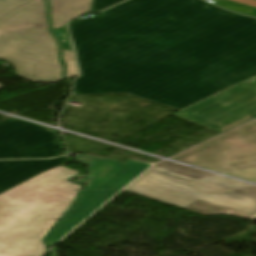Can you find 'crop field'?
Wrapping results in <instances>:
<instances>
[{
    "instance_id": "8a807250",
    "label": "crop field",
    "mask_w": 256,
    "mask_h": 256,
    "mask_svg": "<svg viewBox=\"0 0 256 256\" xmlns=\"http://www.w3.org/2000/svg\"><path fill=\"white\" fill-rule=\"evenodd\" d=\"M68 24L82 73L73 95L182 110L256 75V18L202 0H129Z\"/></svg>"
},
{
    "instance_id": "ac0d7876",
    "label": "crop field",
    "mask_w": 256,
    "mask_h": 256,
    "mask_svg": "<svg viewBox=\"0 0 256 256\" xmlns=\"http://www.w3.org/2000/svg\"><path fill=\"white\" fill-rule=\"evenodd\" d=\"M73 171L58 166L0 194V256L46 251L42 238L81 188L68 182Z\"/></svg>"
},
{
    "instance_id": "34b2d1b8",
    "label": "crop field",
    "mask_w": 256,
    "mask_h": 256,
    "mask_svg": "<svg viewBox=\"0 0 256 256\" xmlns=\"http://www.w3.org/2000/svg\"><path fill=\"white\" fill-rule=\"evenodd\" d=\"M43 0L22 5L0 20V58L34 82L63 80L57 61L58 46L47 31Z\"/></svg>"
},
{
    "instance_id": "412701ff",
    "label": "crop field",
    "mask_w": 256,
    "mask_h": 256,
    "mask_svg": "<svg viewBox=\"0 0 256 256\" xmlns=\"http://www.w3.org/2000/svg\"><path fill=\"white\" fill-rule=\"evenodd\" d=\"M75 160L91 167L90 177L86 179L87 185L80 192L79 199L45 238L49 247L151 165L134 160L121 164L113 160L98 159L87 155H78Z\"/></svg>"
},
{
    "instance_id": "f4fd0767",
    "label": "crop field",
    "mask_w": 256,
    "mask_h": 256,
    "mask_svg": "<svg viewBox=\"0 0 256 256\" xmlns=\"http://www.w3.org/2000/svg\"><path fill=\"white\" fill-rule=\"evenodd\" d=\"M171 159L222 173L256 167V121H251Z\"/></svg>"
},
{
    "instance_id": "dd49c442",
    "label": "crop field",
    "mask_w": 256,
    "mask_h": 256,
    "mask_svg": "<svg viewBox=\"0 0 256 256\" xmlns=\"http://www.w3.org/2000/svg\"><path fill=\"white\" fill-rule=\"evenodd\" d=\"M175 115L222 133L256 118V81L239 83Z\"/></svg>"
},
{
    "instance_id": "e52e79f7",
    "label": "crop field",
    "mask_w": 256,
    "mask_h": 256,
    "mask_svg": "<svg viewBox=\"0 0 256 256\" xmlns=\"http://www.w3.org/2000/svg\"><path fill=\"white\" fill-rule=\"evenodd\" d=\"M124 190L154 198L179 207H186L200 200L247 216L256 214V200L232 191L204 195L188 189L172 186L146 175L139 176Z\"/></svg>"
},
{
    "instance_id": "d8731c3e",
    "label": "crop field",
    "mask_w": 256,
    "mask_h": 256,
    "mask_svg": "<svg viewBox=\"0 0 256 256\" xmlns=\"http://www.w3.org/2000/svg\"><path fill=\"white\" fill-rule=\"evenodd\" d=\"M54 133L15 118L0 122V159L63 155Z\"/></svg>"
},
{
    "instance_id": "5a996713",
    "label": "crop field",
    "mask_w": 256,
    "mask_h": 256,
    "mask_svg": "<svg viewBox=\"0 0 256 256\" xmlns=\"http://www.w3.org/2000/svg\"><path fill=\"white\" fill-rule=\"evenodd\" d=\"M69 161L71 159L67 156L52 160L0 161V193Z\"/></svg>"
},
{
    "instance_id": "3316defc",
    "label": "crop field",
    "mask_w": 256,
    "mask_h": 256,
    "mask_svg": "<svg viewBox=\"0 0 256 256\" xmlns=\"http://www.w3.org/2000/svg\"><path fill=\"white\" fill-rule=\"evenodd\" d=\"M154 166L168 170V171L175 173L177 175H180V176L194 179L195 182L192 185H194L196 187V189L198 190V192H200V193L211 194V193H216V192L229 191V189H227L225 187H222V186H219L216 184H212V183L202 182L197 179L200 177L212 176L211 174L201 172L198 170H194V169L184 167L181 165H177V164L167 162V161H162ZM232 191L235 193L243 194V195H246L253 199H256V186L250 185L248 187L235 189Z\"/></svg>"
},
{
    "instance_id": "28ad6ade",
    "label": "crop field",
    "mask_w": 256,
    "mask_h": 256,
    "mask_svg": "<svg viewBox=\"0 0 256 256\" xmlns=\"http://www.w3.org/2000/svg\"><path fill=\"white\" fill-rule=\"evenodd\" d=\"M51 14L49 15L51 30L64 26L66 21L89 9L91 0H48Z\"/></svg>"
},
{
    "instance_id": "d1516ede",
    "label": "crop field",
    "mask_w": 256,
    "mask_h": 256,
    "mask_svg": "<svg viewBox=\"0 0 256 256\" xmlns=\"http://www.w3.org/2000/svg\"><path fill=\"white\" fill-rule=\"evenodd\" d=\"M145 174H147L151 177L157 178L159 180L168 182L170 184L176 185V186H180V187L191 189L193 191H197L194 188V186H191V184L194 182V180L177 176L175 174H172L170 172H167L165 170H162V169L154 167V166L149 168L145 172Z\"/></svg>"
},
{
    "instance_id": "22f410ed",
    "label": "crop field",
    "mask_w": 256,
    "mask_h": 256,
    "mask_svg": "<svg viewBox=\"0 0 256 256\" xmlns=\"http://www.w3.org/2000/svg\"><path fill=\"white\" fill-rule=\"evenodd\" d=\"M185 209H189L195 212H199L202 214H206V215H213V214H225V215H230V216H234V217H247L235 212H231L204 202H200L197 201L193 204H191L190 206L186 207ZM250 218V217H249Z\"/></svg>"
},
{
    "instance_id": "cbeb9de0",
    "label": "crop field",
    "mask_w": 256,
    "mask_h": 256,
    "mask_svg": "<svg viewBox=\"0 0 256 256\" xmlns=\"http://www.w3.org/2000/svg\"><path fill=\"white\" fill-rule=\"evenodd\" d=\"M216 1L214 4L222 6L224 8H227L229 10H232L234 12L246 14V15H251L256 17V9L251 8L248 6H244L238 3H234L228 0H214Z\"/></svg>"
},
{
    "instance_id": "5142ce71",
    "label": "crop field",
    "mask_w": 256,
    "mask_h": 256,
    "mask_svg": "<svg viewBox=\"0 0 256 256\" xmlns=\"http://www.w3.org/2000/svg\"><path fill=\"white\" fill-rule=\"evenodd\" d=\"M62 61L66 63L65 77L70 78L78 75L73 53L61 50Z\"/></svg>"
},
{
    "instance_id": "d9b57169",
    "label": "crop field",
    "mask_w": 256,
    "mask_h": 256,
    "mask_svg": "<svg viewBox=\"0 0 256 256\" xmlns=\"http://www.w3.org/2000/svg\"><path fill=\"white\" fill-rule=\"evenodd\" d=\"M200 180L216 183V184H219V185H223V186H225L229 189H235V188L248 186L246 184L239 183V182L232 181V180L225 179V178L218 177V176L200 178Z\"/></svg>"
},
{
    "instance_id": "733c2abd",
    "label": "crop field",
    "mask_w": 256,
    "mask_h": 256,
    "mask_svg": "<svg viewBox=\"0 0 256 256\" xmlns=\"http://www.w3.org/2000/svg\"><path fill=\"white\" fill-rule=\"evenodd\" d=\"M58 39L62 42L63 48L72 50L69 35L66 26L52 31Z\"/></svg>"
},
{
    "instance_id": "4a817a6b",
    "label": "crop field",
    "mask_w": 256,
    "mask_h": 256,
    "mask_svg": "<svg viewBox=\"0 0 256 256\" xmlns=\"http://www.w3.org/2000/svg\"><path fill=\"white\" fill-rule=\"evenodd\" d=\"M235 177H239L245 180H249L256 183V168L248 169V170H242L232 173H226Z\"/></svg>"
},
{
    "instance_id": "bc2a9ffb",
    "label": "crop field",
    "mask_w": 256,
    "mask_h": 256,
    "mask_svg": "<svg viewBox=\"0 0 256 256\" xmlns=\"http://www.w3.org/2000/svg\"><path fill=\"white\" fill-rule=\"evenodd\" d=\"M31 0H15L10 2H5L0 4V17L6 14L7 12L11 11L15 7L27 3Z\"/></svg>"
},
{
    "instance_id": "214f88e0",
    "label": "crop field",
    "mask_w": 256,
    "mask_h": 256,
    "mask_svg": "<svg viewBox=\"0 0 256 256\" xmlns=\"http://www.w3.org/2000/svg\"><path fill=\"white\" fill-rule=\"evenodd\" d=\"M123 0H93V6L91 11H99L103 8L110 7Z\"/></svg>"
},
{
    "instance_id": "92a150f3",
    "label": "crop field",
    "mask_w": 256,
    "mask_h": 256,
    "mask_svg": "<svg viewBox=\"0 0 256 256\" xmlns=\"http://www.w3.org/2000/svg\"><path fill=\"white\" fill-rule=\"evenodd\" d=\"M51 256H56V250L55 249L51 250Z\"/></svg>"
},
{
    "instance_id": "dafd665d",
    "label": "crop field",
    "mask_w": 256,
    "mask_h": 256,
    "mask_svg": "<svg viewBox=\"0 0 256 256\" xmlns=\"http://www.w3.org/2000/svg\"><path fill=\"white\" fill-rule=\"evenodd\" d=\"M5 1H10V0H0V3H1V2H5Z\"/></svg>"
},
{
    "instance_id": "00972430",
    "label": "crop field",
    "mask_w": 256,
    "mask_h": 256,
    "mask_svg": "<svg viewBox=\"0 0 256 256\" xmlns=\"http://www.w3.org/2000/svg\"><path fill=\"white\" fill-rule=\"evenodd\" d=\"M0 87H2V85H0Z\"/></svg>"
}]
</instances>
